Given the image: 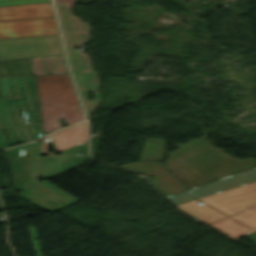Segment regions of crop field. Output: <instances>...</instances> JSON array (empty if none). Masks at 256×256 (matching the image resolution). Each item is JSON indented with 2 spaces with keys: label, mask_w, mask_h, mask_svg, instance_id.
<instances>
[{
  "label": "crop field",
  "mask_w": 256,
  "mask_h": 256,
  "mask_svg": "<svg viewBox=\"0 0 256 256\" xmlns=\"http://www.w3.org/2000/svg\"><path fill=\"white\" fill-rule=\"evenodd\" d=\"M92 0L78 2L76 0H54L59 23L63 33L72 73L79 90L82 105L84 107L87 119L89 114L95 112L102 100L98 90L100 82L97 72L93 71L89 55H86L75 47H83L82 44L91 41L88 32L90 31L88 23L81 22V19L72 15L70 6L72 3H89ZM96 91L93 93L95 99L87 102L86 92Z\"/></svg>",
  "instance_id": "8a807250"
},
{
  "label": "crop field",
  "mask_w": 256,
  "mask_h": 256,
  "mask_svg": "<svg viewBox=\"0 0 256 256\" xmlns=\"http://www.w3.org/2000/svg\"><path fill=\"white\" fill-rule=\"evenodd\" d=\"M40 148L41 142H33L5 152L12 168L15 188L24 192L19 195L42 210L53 213L78 200L45 180L37 183ZM32 184L35 189L26 188Z\"/></svg>",
  "instance_id": "ac0d7876"
},
{
  "label": "crop field",
  "mask_w": 256,
  "mask_h": 256,
  "mask_svg": "<svg viewBox=\"0 0 256 256\" xmlns=\"http://www.w3.org/2000/svg\"><path fill=\"white\" fill-rule=\"evenodd\" d=\"M172 173L189 189L206 182L256 167L253 157L239 160L210 144L167 163Z\"/></svg>",
  "instance_id": "34b2d1b8"
},
{
  "label": "crop field",
  "mask_w": 256,
  "mask_h": 256,
  "mask_svg": "<svg viewBox=\"0 0 256 256\" xmlns=\"http://www.w3.org/2000/svg\"><path fill=\"white\" fill-rule=\"evenodd\" d=\"M44 133L84 119L69 74L35 76Z\"/></svg>",
  "instance_id": "412701ff"
},
{
  "label": "crop field",
  "mask_w": 256,
  "mask_h": 256,
  "mask_svg": "<svg viewBox=\"0 0 256 256\" xmlns=\"http://www.w3.org/2000/svg\"><path fill=\"white\" fill-rule=\"evenodd\" d=\"M56 34L51 3L0 7V38Z\"/></svg>",
  "instance_id": "f4fd0767"
},
{
  "label": "crop field",
  "mask_w": 256,
  "mask_h": 256,
  "mask_svg": "<svg viewBox=\"0 0 256 256\" xmlns=\"http://www.w3.org/2000/svg\"><path fill=\"white\" fill-rule=\"evenodd\" d=\"M64 55L60 37L0 40V60Z\"/></svg>",
  "instance_id": "dd49c442"
},
{
  "label": "crop field",
  "mask_w": 256,
  "mask_h": 256,
  "mask_svg": "<svg viewBox=\"0 0 256 256\" xmlns=\"http://www.w3.org/2000/svg\"><path fill=\"white\" fill-rule=\"evenodd\" d=\"M199 199L231 216L256 205V181Z\"/></svg>",
  "instance_id": "e52e79f7"
},
{
  "label": "crop field",
  "mask_w": 256,
  "mask_h": 256,
  "mask_svg": "<svg viewBox=\"0 0 256 256\" xmlns=\"http://www.w3.org/2000/svg\"><path fill=\"white\" fill-rule=\"evenodd\" d=\"M256 180V168L223 177L215 182L190 189V194L199 198Z\"/></svg>",
  "instance_id": "d8731c3e"
},
{
  "label": "crop field",
  "mask_w": 256,
  "mask_h": 256,
  "mask_svg": "<svg viewBox=\"0 0 256 256\" xmlns=\"http://www.w3.org/2000/svg\"><path fill=\"white\" fill-rule=\"evenodd\" d=\"M86 159L88 158L58 155H48V157H42L40 177L44 179Z\"/></svg>",
  "instance_id": "5a996713"
},
{
  "label": "crop field",
  "mask_w": 256,
  "mask_h": 256,
  "mask_svg": "<svg viewBox=\"0 0 256 256\" xmlns=\"http://www.w3.org/2000/svg\"><path fill=\"white\" fill-rule=\"evenodd\" d=\"M57 151L87 140L86 122L53 134Z\"/></svg>",
  "instance_id": "3316defc"
},
{
  "label": "crop field",
  "mask_w": 256,
  "mask_h": 256,
  "mask_svg": "<svg viewBox=\"0 0 256 256\" xmlns=\"http://www.w3.org/2000/svg\"><path fill=\"white\" fill-rule=\"evenodd\" d=\"M157 179L150 180L161 192L166 196L178 193L185 189V187L175 179L165 165H161L149 170Z\"/></svg>",
  "instance_id": "28ad6ade"
},
{
  "label": "crop field",
  "mask_w": 256,
  "mask_h": 256,
  "mask_svg": "<svg viewBox=\"0 0 256 256\" xmlns=\"http://www.w3.org/2000/svg\"><path fill=\"white\" fill-rule=\"evenodd\" d=\"M35 75L69 73L64 56L31 58Z\"/></svg>",
  "instance_id": "d1516ede"
},
{
  "label": "crop field",
  "mask_w": 256,
  "mask_h": 256,
  "mask_svg": "<svg viewBox=\"0 0 256 256\" xmlns=\"http://www.w3.org/2000/svg\"><path fill=\"white\" fill-rule=\"evenodd\" d=\"M199 200H193L188 203L178 205L183 211L197 218L198 220L212 223L216 220L227 217L226 215L214 210L213 208L202 204H197Z\"/></svg>",
  "instance_id": "22f410ed"
},
{
  "label": "crop field",
  "mask_w": 256,
  "mask_h": 256,
  "mask_svg": "<svg viewBox=\"0 0 256 256\" xmlns=\"http://www.w3.org/2000/svg\"><path fill=\"white\" fill-rule=\"evenodd\" d=\"M33 76L29 58L0 61V78Z\"/></svg>",
  "instance_id": "cbeb9de0"
},
{
  "label": "crop field",
  "mask_w": 256,
  "mask_h": 256,
  "mask_svg": "<svg viewBox=\"0 0 256 256\" xmlns=\"http://www.w3.org/2000/svg\"><path fill=\"white\" fill-rule=\"evenodd\" d=\"M211 225L225 231L226 233L233 237H238L252 231L251 229L245 227L244 225L238 223L237 221L229 217L219 220Z\"/></svg>",
  "instance_id": "5142ce71"
},
{
  "label": "crop field",
  "mask_w": 256,
  "mask_h": 256,
  "mask_svg": "<svg viewBox=\"0 0 256 256\" xmlns=\"http://www.w3.org/2000/svg\"><path fill=\"white\" fill-rule=\"evenodd\" d=\"M150 140L151 143H149ZM165 142L164 140L148 139L140 159L160 160Z\"/></svg>",
  "instance_id": "d9b57169"
},
{
  "label": "crop field",
  "mask_w": 256,
  "mask_h": 256,
  "mask_svg": "<svg viewBox=\"0 0 256 256\" xmlns=\"http://www.w3.org/2000/svg\"><path fill=\"white\" fill-rule=\"evenodd\" d=\"M208 144H210V143L202 138L200 140L191 141L187 145H176V147H178L179 149H177L173 152H168L167 154H168L169 158L167 160H165L164 162L167 163L171 160H174L180 156H183L187 153H190V152L197 150V149H199L203 146H206Z\"/></svg>",
  "instance_id": "733c2abd"
},
{
  "label": "crop field",
  "mask_w": 256,
  "mask_h": 256,
  "mask_svg": "<svg viewBox=\"0 0 256 256\" xmlns=\"http://www.w3.org/2000/svg\"><path fill=\"white\" fill-rule=\"evenodd\" d=\"M231 218L254 230L256 229V206L237 213Z\"/></svg>",
  "instance_id": "4a817a6b"
},
{
  "label": "crop field",
  "mask_w": 256,
  "mask_h": 256,
  "mask_svg": "<svg viewBox=\"0 0 256 256\" xmlns=\"http://www.w3.org/2000/svg\"><path fill=\"white\" fill-rule=\"evenodd\" d=\"M161 164H163V162L140 161L137 163L126 164L119 167H122L124 169L140 174L146 170H149Z\"/></svg>",
  "instance_id": "bc2a9ffb"
},
{
  "label": "crop field",
  "mask_w": 256,
  "mask_h": 256,
  "mask_svg": "<svg viewBox=\"0 0 256 256\" xmlns=\"http://www.w3.org/2000/svg\"><path fill=\"white\" fill-rule=\"evenodd\" d=\"M63 155H77L81 153L82 156H88V144L87 141L73 147L67 148L61 151ZM78 156V155H77Z\"/></svg>",
  "instance_id": "214f88e0"
},
{
  "label": "crop field",
  "mask_w": 256,
  "mask_h": 256,
  "mask_svg": "<svg viewBox=\"0 0 256 256\" xmlns=\"http://www.w3.org/2000/svg\"><path fill=\"white\" fill-rule=\"evenodd\" d=\"M173 203L181 204L193 200L194 198L188 195L187 190L176 195L168 196Z\"/></svg>",
  "instance_id": "92a150f3"
},
{
  "label": "crop field",
  "mask_w": 256,
  "mask_h": 256,
  "mask_svg": "<svg viewBox=\"0 0 256 256\" xmlns=\"http://www.w3.org/2000/svg\"><path fill=\"white\" fill-rule=\"evenodd\" d=\"M44 2H50V1L49 0H0V6L31 4V3H44Z\"/></svg>",
  "instance_id": "dafd665d"
},
{
  "label": "crop field",
  "mask_w": 256,
  "mask_h": 256,
  "mask_svg": "<svg viewBox=\"0 0 256 256\" xmlns=\"http://www.w3.org/2000/svg\"><path fill=\"white\" fill-rule=\"evenodd\" d=\"M246 237H248L251 240V242L256 246V234L254 232L246 235Z\"/></svg>",
  "instance_id": "00972430"
}]
</instances>
